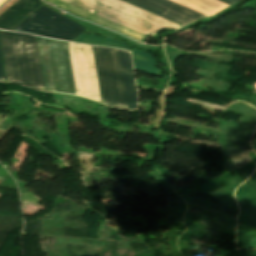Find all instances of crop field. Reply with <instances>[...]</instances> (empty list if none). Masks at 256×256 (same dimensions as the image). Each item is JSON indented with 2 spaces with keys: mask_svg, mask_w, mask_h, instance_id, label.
Here are the masks:
<instances>
[{
  "mask_svg": "<svg viewBox=\"0 0 256 256\" xmlns=\"http://www.w3.org/2000/svg\"><path fill=\"white\" fill-rule=\"evenodd\" d=\"M40 5L39 0L17 1L0 15V28L10 30Z\"/></svg>",
  "mask_w": 256,
  "mask_h": 256,
  "instance_id": "e52e79f7",
  "label": "crop field"
},
{
  "mask_svg": "<svg viewBox=\"0 0 256 256\" xmlns=\"http://www.w3.org/2000/svg\"><path fill=\"white\" fill-rule=\"evenodd\" d=\"M135 6L143 8L147 11L155 13L159 16L172 20L176 23L184 25L188 22L205 17L195 11L180 6L169 0H124Z\"/></svg>",
  "mask_w": 256,
  "mask_h": 256,
  "instance_id": "f4fd0767",
  "label": "crop field"
},
{
  "mask_svg": "<svg viewBox=\"0 0 256 256\" xmlns=\"http://www.w3.org/2000/svg\"><path fill=\"white\" fill-rule=\"evenodd\" d=\"M72 41L74 42H81V43H89V44H96V45H102V46H108V47H116V48H124V49H130L116 41L98 38L94 36H89L84 34L83 32L79 34L75 39Z\"/></svg>",
  "mask_w": 256,
  "mask_h": 256,
  "instance_id": "3316defc",
  "label": "crop field"
},
{
  "mask_svg": "<svg viewBox=\"0 0 256 256\" xmlns=\"http://www.w3.org/2000/svg\"><path fill=\"white\" fill-rule=\"evenodd\" d=\"M117 53L126 108L136 109V89L129 52L117 50Z\"/></svg>",
  "mask_w": 256,
  "mask_h": 256,
  "instance_id": "dd49c442",
  "label": "crop field"
},
{
  "mask_svg": "<svg viewBox=\"0 0 256 256\" xmlns=\"http://www.w3.org/2000/svg\"><path fill=\"white\" fill-rule=\"evenodd\" d=\"M222 1L227 2V3L233 5V4H235V3H237V2H239V1H241V0H222Z\"/></svg>",
  "mask_w": 256,
  "mask_h": 256,
  "instance_id": "d1516ede",
  "label": "crop field"
},
{
  "mask_svg": "<svg viewBox=\"0 0 256 256\" xmlns=\"http://www.w3.org/2000/svg\"><path fill=\"white\" fill-rule=\"evenodd\" d=\"M103 103L125 108L116 50L94 47Z\"/></svg>",
  "mask_w": 256,
  "mask_h": 256,
  "instance_id": "412701ff",
  "label": "crop field"
},
{
  "mask_svg": "<svg viewBox=\"0 0 256 256\" xmlns=\"http://www.w3.org/2000/svg\"><path fill=\"white\" fill-rule=\"evenodd\" d=\"M0 81H5L3 67H2V61H1V55H0Z\"/></svg>",
  "mask_w": 256,
  "mask_h": 256,
  "instance_id": "28ad6ade",
  "label": "crop field"
},
{
  "mask_svg": "<svg viewBox=\"0 0 256 256\" xmlns=\"http://www.w3.org/2000/svg\"><path fill=\"white\" fill-rule=\"evenodd\" d=\"M37 39L46 91L75 94L66 42Z\"/></svg>",
  "mask_w": 256,
  "mask_h": 256,
  "instance_id": "ac0d7876",
  "label": "crop field"
},
{
  "mask_svg": "<svg viewBox=\"0 0 256 256\" xmlns=\"http://www.w3.org/2000/svg\"><path fill=\"white\" fill-rule=\"evenodd\" d=\"M206 16L213 15L228 5L218 0H172Z\"/></svg>",
  "mask_w": 256,
  "mask_h": 256,
  "instance_id": "d8731c3e",
  "label": "crop field"
},
{
  "mask_svg": "<svg viewBox=\"0 0 256 256\" xmlns=\"http://www.w3.org/2000/svg\"><path fill=\"white\" fill-rule=\"evenodd\" d=\"M0 44L7 81L45 91L36 36L0 31Z\"/></svg>",
  "mask_w": 256,
  "mask_h": 256,
  "instance_id": "8a807250",
  "label": "crop field"
},
{
  "mask_svg": "<svg viewBox=\"0 0 256 256\" xmlns=\"http://www.w3.org/2000/svg\"><path fill=\"white\" fill-rule=\"evenodd\" d=\"M84 29L42 6L13 30L71 41Z\"/></svg>",
  "mask_w": 256,
  "mask_h": 256,
  "instance_id": "34b2d1b8",
  "label": "crop field"
},
{
  "mask_svg": "<svg viewBox=\"0 0 256 256\" xmlns=\"http://www.w3.org/2000/svg\"><path fill=\"white\" fill-rule=\"evenodd\" d=\"M134 68L136 71L143 73L151 74L154 76L160 75L159 71L156 68V61L151 54L142 53L133 50L132 51Z\"/></svg>",
  "mask_w": 256,
  "mask_h": 256,
  "instance_id": "5a996713",
  "label": "crop field"
}]
</instances>
